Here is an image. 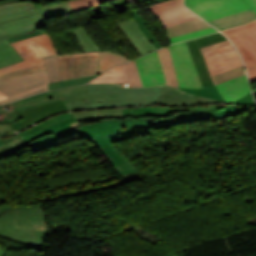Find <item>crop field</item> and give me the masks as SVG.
I'll return each instance as SVG.
<instances>
[{
    "label": "crop field",
    "mask_w": 256,
    "mask_h": 256,
    "mask_svg": "<svg viewBox=\"0 0 256 256\" xmlns=\"http://www.w3.org/2000/svg\"><path fill=\"white\" fill-rule=\"evenodd\" d=\"M121 119L101 120L99 123L83 125L75 128L64 129L60 132L41 137L26 146L35 150L57 145L56 140L65 137L74 132L78 136L88 139L94 144L91 147L98 146L112 165L121 175L136 172L135 165L120 155L112 142L118 141Z\"/></svg>",
    "instance_id": "crop-field-1"
},
{
    "label": "crop field",
    "mask_w": 256,
    "mask_h": 256,
    "mask_svg": "<svg viewBox=\"0 0 256 256\" xmlns=\"http://www.w3.org/2000/svg\"><path fill=\"white\" fill-rule=\"evenodd\" d=\"M31 1L0 6V39L46 26L44 20L72 13L69 4L57 3L36 9Z\"/></svg>",
    "instance_id": "crop-field-2"
},
{
    "label": "crop field",
    "mask_w": 256,
    "mask_h": 256,
    "mask_svg": "<svg viewBox=\"0 0 256 256\" xmlns=\"http://www.w3.org/2000/svg\"><path fill=\"white\" fill-rule=\"evenodd\" d=\"M249 108H243L234 105H205L186 108H174V111H181L172 118H127L122 119L119 141L132 138V130L134 127L139 128H164L179 125L181 123L196 122L204 119L210 121L223 119L235 115H239Z\"/></svg>",
    "instance_id": "crop-field-3"
},
{
    "label": "crop field",
    "mask_w": 256,
    "mask_h": 256,
    "mask_svg": "<svg viewBox=\"0 0 256 256\" xmlns=\"http://www.w3.org/2000/svg\"><path fill=\"white\" fill-rule=\"evenodd\" d=\"M160 87L125 88L113 84H89L88 93L115 92L119 93L121 102H98L90 103L89 100L68 103L69 110L95 108V107H118L142 104H157L160 95Z\"/></svg>",
    "instance_id": "crop-field-4"
},
{
    "label": "crop field",
    "mask_w": 256,
    "mask_h": 256,
    "mask_svg": "<svg viewBox=\"0 0 256 256\" xmlns=\"http://www.w3.org/2000/svg\"><path fill=\"white\" fill-rule=\"evenodd\" d=\"M88 84L70 87L66 89L55 90L51 92L41 93L37 96L29 97L10 104L16 111H21L30 107L48 103L62 98L64 103L89 99L90 102L98 101H120L119 95L114 93L104 94H86Z\"/></svg>",
    "instance_id": "crop-field-5"
},
{
    "label": "crop field",
    "mask_w": 256,
    "mask_h": 256,
    "mask_svg": "<svg viewBox=\"0 0 256 256\" xmlns=\"http://www.w3.org/2000/svg\"><path fill=\"white\" fill-rule=\"evenodd\" d=\"M11 45L25 61L0 69V74L41 62V57L58 54L47 33L11 43Z\"/></svg>",
    "instance_id": "crop-field-6"
},
{
    "label": "crop field",
    "mask_w": 256,
    "mask_h": 256,
    "mask_svg": "<svg viewBox=\"0 0 256 256\" xmlns=\"http://www.w3.org/2000/svg\"><path fill=\"white\" fill-rule=\"evenodd\" d=\"M185 4L207 21L250 8L256 11V0H185Z\"/></svg>",
    "instance_id": "crop-field-7"
},
{
    "label": "crop field",
    "mask_w": 256,
    "mask_h": 256,
    "mask_svg": "<svg viewBox=\"0 0 256 256\" xmlns=\"http://www.w3.org/2000/svg\"><path fill=\"white\" fill-rule=\"evenodd\" d=\"M61 80L99 74V54L84 53L58 56Z\"/></svg>",
    "instance_id": "crop-field-8"
},
{
    "label": "crop field",
    "mask_w": 256,
    "mask_h": 256,
    "mask_svg": "<svg viewBox=\"0 0 256 256\" xmlns=\"http://www.w3.org/2000/svg\"><path fill=\"white\" fill-rule=\"evenodd\" d=\"M18 210L17 225H35L36 241L35 249L43 250L48 236V225L46 215L43 211V204H32L29 206L17 205L15 207L5 206L0 208V214L10 213Z\"/></svg>",
    "instance_id": "crop-field-9"
},
{
    "label": "crop field",
    "mask_w": 256,
    "mask_h": 256,
    "mask_svg": "<svg viewBox=\"0 0 256 256\" xmlns=\"http://www.w3.org/2000/svg\"><path fill=\"white\" fill-rule=\"evenodd\" d=\"M170 53L178 87H202L186 43L167 46Z\"/></svg>",
    "instance_id": "crop-field-10"
},
{
    "label": "crop field",
    "mask_w": 256,
    "mask_h": 256,
    "mask_svg": "<svg viewBox=\"0 0 256 256\" xmlns=\"http://www.w3.org/2000/svg\"><path fill=\"white\" fill-rule=\"evenodd\" d=\"M49 79L46 71L37 72L0 84V91L11 98L0 101V105L10 101L48 90Z\"/></svg>",
    "instance_id": "crop-field-11"
},
{
    "label": "crop field",
    "mask_w": 256,
    "mask_h": 256,
    "mask_svg": "<svg viewBox=\"0 0 256 256\" xmlns=\"http://www.w3.org/2000/svg\"><path fill=\"white\" fill-rule=\"evenodd\" d=\"M222 32L236 45L247 67L256 66V21L244 27Z\"/></svg>",
    "instance_id": "crop-field-12"
},
{
    "label": "crop field",
    "mask_w": 256,
    "mask_h": 256,
    "mask_svg": "<svg viewBox=\"0 0 256 256\" xmlns=\"http://www.w3.org/2000/svg\"><path fill=\"white\" fill-rule=\"evenodd\" d=\"M70 114L73 118L64 120L62 122L56 123L46 128L39 129L22 136H19L17 134L10 138H0V159L7 155L17 153L22 147H24L25 144H27L32 140H35L38 137L70 127L71 123L77 122L72 112Z\"/></svg>",
    "instance_id": "crop-field-13"
},
{
    "label": "crop field",
    "mask_w": 256,
    "mask_h": 256,
    "mask_svg": "<svg viewBox=\"0 0 256 256\" xmlns=\"http://www.w3.org/2000/svg\"><path fill=\"white\" fill-rule=\"evenodd\" d=\"M184 7L182 0H169L148 6L149 10L159 18L164 27L198 18L195 14Z\"/></svg>",
    "instance_id": "crop-field-14"
},
{
    "label": "crop field",
    "mask_w": 256,
    "mask_h": 256,
    "mask_svg": "<svg viewBox=\"0 0 256 256\" xmlns=\"http://www.w3.org/2000/svg\"><path fill=\"white\" fill-rule=\"evenodd\" d=\"M223 40H226V38H224L220 33H216L186 42L203 87L212 86L214 84L200 48Z\"/></svg>",
    "instance_id": "crop-field-15"
},
{
    "label": "crop field",
    "mask_w": 256,
    "mask_h": 256,
    "mask_svg": "<svg viewBox=\"0 0 256 256\" xmlns=\"http://www.w3.org/2000/svg\"><path fill=\"white\" fill-rule=\"evenodd\" d=\"M211 75L242 65V61L233 45L204 52Z\"/></svg>",
    "instance_id": "crop-field-16"
},
{
    "label": "crop field",
    "mask_w": 256,
    "mask_h": 256,
    "mask_svg": "<svg viewBox=\"0 0 256 256\" xmlns=\"http://www.w3.org/2000/svg\"><path fill=\"white\" fill-rule=\"evenodd\" d=\"M16 212L0 216V235L34 247V226H16Z\"/></svg>",
    "instance_id": "crop-field-17"
},
{
    "label": "crop field",
    "mask_w": 256,
    "mask_h": 256,
    "mask_svg": "<svg viewBox=\"0 0 256 256\" xmlns=\"http://www.w3.org/2000/svg\"><path fill=\"white\" fill-rule=\"evenodd\" d=\"M144 86L166 85L161 63L157 52L136 60Z\"/></svg>",
    "instance_id": "crop-field-18"
},
{
    "label": "crop field",
    "mask_w": 256,
    "mask_h": 256,
    "mask_svg": "<svg viewBox=\"0 0 256 256\" xmlns=\"http://www.w3.org/2000/svg\"><path fill=\"white\" fill-rule=\"evenodd\" d=\"M64 110H68V108L65 106L62 99H60L48 104L18 112L22 119L10 125L13 130L18 131L50 114Z\"/></svg>",
    "instance_id": "crop-field-19"
},
{
    "label": "crop field",
    "mask_w": 256,
    "mask_h": 256,
    "mask_svg": "<svg viewBox=\"0 0 256 256\" xmlns=\"http://www.w3.org/2000/svg\"><path fill=\"white\" fill-rule=\"evenodd\" d=\"M138 25L140 24L135 19L117 24L133 48L142 56L156 50V47L148 40Z\"/></svg>",
    "instance_id": "crop-field-20"
},
{
    "label": "crop field",
    "mask_w": 256,
    "mask_h": 256,
    "mask_svg": "<svg viewBox=\"0 0 256 256\" xmlns=\"http://www.w3.org/2000/svg\"><path fill=\"white\" fill-rule=\"evenodd\" d=\"M210 102H217V101L202 98V97H194V96L185 94L183 92H180L174 88L163 86L158 104L189 105V104L210 103Z\"/></svg>",
    "instance_id": "crop-field-21"
},
{
    "label": "crop field",
    "mask_w": 256,
    "mask_h": 256,
    "mask_svg": "<svg viewBox=\"0 0 256 256\" xmlns=\"http://www.w3.org/2000/svg\"><path fill=\"white\" fill-rule=\"evenodd\" d=\"M226 102H233L250 92L246 75L216 85Z\"/></svg>",
    "instance_id": "crop-field-22"
},
{
    "label": "crop field",
    "mask_w": 256,
    "mask_h": 256,
    "mask_svg": "<svg viewBox=\"0 0 256 256\" xmlns=\"http://www.w3.org/2000/svg\"><path fill=\"white\" fill-rule=\"evenodd\" d=\"M39 34H43V32L35 30L23 35L0 40V68L23 61L20 55L13 49V47L9 43L29 38L32 36H36Z\"/></svg>",
    "instance_id": "crop-field-23"
},
{
    "label": "crop field",
    "mask_w": 256,
    "mask_h": 256,
    "mask_svg": "<svg viewBox=\"0 0 256 256\" xmlns=\"http://www.w3.org/2000/svg\"><path fill=\"white\" fill-rule=\"evenodd\" d=\"M253 20H256V12L251 9L248 11L226 16L209 22L218 29L223 30L251 22Z\"/></svg>",
    "instance_id": "crop-field-24"
},
{
    "label": "crop field",
    "mask_w": 256,
    "mask_h": 256,
    "mask_svg": "<svg viewBox=\"0 0 256 256\" xmlns=\"http://www.w3.org/2000/svg\"><path fill=\"white\" fill-rule=\"evenodd\" d=\"M78 122L100 119L123 118L122 109L73 112Z\"/></svg>",
    "instance_id": "crop-field-25"
},
{
    "label": "crop field",
    "mask_w": 256,
    "mask_h": 256,
    "mask_svg": "<svg viewBox=\"0 0 256 256\" xmlns=\"http://www.w3.org/2000/svg\"><path fill=\"white\" fill-rule=\"evenodd\" d=\"M207 27H210V26L207 23H205L203 20L198 18L180 25L168 27L166 28V30L169 38L172 36L192 32V31L207 28Z\"/></svg>",
    "instance_id": "crop-field-26"
},
{
    "label": "crop field",
    "mask_w": 256,
    "mask_h": 256,
    "mask_svg": "<svg viewBox=\"0 0 256 256\" xmlns=\"http://www.w3.org/2000/svg\"><path fill=\"white\" fill-rule=\"evenodd\" d=\"M105 73V72H104ZM98 82H109V83H124L127 86V79L125 73L124 64L118 66L114 69L108 70L105 74L99 76L89 83H98Z\"/></svg>",
    "instance_id": "crop-field-27"
},
{
    "label": "crop field",
    "mask_w": 256,
    "mask_h": 256,
    "mask_svg": "<svg viewBox=\"0 0 256 256\" xmlns=\"http://www.w3.org/2000/svg\"><path fill=\"white\" fill-rule=\"evenodd\" d=\"M158 53L160 55V59H161V63H162V67H163L167 85H172V86L177 87L171 59H170L169 53L167 51V48L165 47V48L158 50Z\"/></svg>",
    "instance_id": "crop-field-28"
},
{
    "label": "crop field",
    "mask_w": 256,
    "mask_h": 256,
    "mask_svg": "<svg viewBox=\"0 0 256 256\" xmlns=\"http://www.w3.org/2000/svg\"><path fill=\"white\" fill-rule=\"evenodd\" d=\"M100 53V73L110 67L117 66L128 60L122 58L115 52H99Z\"/></svg>",
    "instance_id": "crop-field-29"
},
{
    "label": "crop field",
    "mask_w": 256,
    "mask_h": 256,
    "mask_svg": "<svg viewBox=\"0 0 256 256\" xmlns=\"http://www.w3.org/2000/svg\"><path fill=\"white\" fill-rule=\"evenodd\" d=\"M73 34L82 47L83 51H100L98 47L94 44V42L91 40V38L86 33L84 27H79L72 29Z\"/></svg>",
    "instance_id": "crop-field-30"
},
{
    "label": "crop field",
    "mask_w": 256,
    "mask_h": 256,
    "mask_svg": "<svg viewBox=\"0 0 256 256\" xmlns=\"http://www.w3.org/2000/svg\"><path fill=\"white\" fill-rule=\"evenodd\" d=\"M44 69L45 68H44L42 62L35 64V65L28 66V67H24L21 69H17V70L0 75V83L23 76V75H27V74L34 73V72H37L40 70H44Z\"/></svg>",
    "instance_id": "crop-field-31"
},
{
    "label": "crop field",
    "mask_w": 256,
    "mask_h": 256,
    "mask_svg": "<svg viewBox=\"0 0 256 256\" xmlns=\"http://www.w3.org/2000/svg\"><path fill=\"white\" fill-rule=\"evenodd\" d=\"M42 60L45 65L50 82L53 83L61 81L58 71L57 56L42 58Z\"/></svg>",
    "instance_id": "crop-field-32"
},
{
    "label": "crop field",
    "mask_w": 256,
    "mask_h": 256,
    "mask_svg": "<svg viewBox=\"0 0 256 256\" xmlns=\"http://www.w3.org/2000/svg\"><path fill=\"white\" fill-rule=\"evenodd\" d=\"M178 89L193 95H199V96L208 97L214 100H220L225 102L214 86L208 87V88H198V89H188V88H178Z\"/></svg>",
    "instance_id": "crop-field-33"
},
{
    "label": "crop field",
    "mask_w": 256,
    "mask_h": 256,
    "mask_svg": "<svg viewBox=\"0 0 256 256\" xmlns=\"http://www.w3.org/2000/svg\"><path fill=\"white\" fill-rule=\"evenodd\" d=\"M244 74H245V71L242 65V66L230 69L228 71L213 75L212 77H213L214 84L216 85Z\"/></svg>",
    "instance_id": "crop-field-34"
},
{
    "label": "crop field",
    "mask_w": 256,
    "mask_h": 256,
    "mask_svg": "<svg viewBox=\"0 0 256 256\" xmlns=\"http://www.w3.org/2000/svg\"><path fill=\"white\" fill-rule=\"evenodd\" d=\"M125 67H126V73H127V79H128V86L130 87L143 86L140 80V76L137 70L135 60L130 63H126Z\"/></svg>",
    "instance_id": "crop-field-35"
},
{
    "label": "crop field",
    "mask_w": 256,
    "mask_h": 256,
    "mask_svg": "<svg viewBox=\"0 0 256 256\" xmlns=\"http://www.w3.org/2000/svg\"><path fill=\"white\" fill-rule=\"evenodd\" d=\"M112 0H74V1H70L68 2L71 6V8L73 9V11H79L82 9H86L92 6H96L102 3H106Z\"/></svg>",
    "instance_id": "crop-field-36"
},
{
    "label": "crop field",
    "mask_w": 256,
    "mask_h": 256,
    "mask_svg": "<svg viewBox=\"0 0 256 256\" xmlns=\"http://www.w3.org/2000/svg\"><path fill=\"white\" fill-rule=\"evenodd\" d=\"M212 32H216V30H214L212 27H210V28H207V29H204V30H200V31H196V32H192V33H188V34H184V35L169 38V41H170L171 44H173V43H176V42H180V41L200 37V36L212 33Z\"/></svg>",
    "instance_id": "crop-field-37"
},
{
    "label": "crop field",
    "mask_w": 256,
    "mask_h": 256,
    "mask_svg": "<svg viewBox=\"0 0 256 256\" xmlns=\"http://www.w3.org/2000/svg\"><path fill=\"white\" fill-rule=\"evenodd\" d=\"M132 110V111H131ZM153 107L145 108H124L123 116L126 117H144L152 116Z\"/></svg>",
    "instance_id": "crop-field-38"
},
{
    "label": "crop field",
    "mask_w": 256,
    "mask_h": 256,
    "mask_svg": "<svg viewBox=\"0 0 256 256\" xmlns=\"http://www.w3.org/2000/svg\"><path fill=\"white\" fill-rule=\"evenodd\" d=\"M130 13L141 24V26H140L141 29L144 31V33L147 35V37L150 39V41L155 44L157 49L161 48L162 46L160 45V43L156 40V38L151 34V32L145 26L148 24V22L138 13L137 10L131 11Z\"/></svg>",
    "instance_id": "crop-field-39"
},
{
    "label": "crop field",
    "mask_w": 256,
    "mask_h": 256,
    "mask_svg": "<svg viewBox=\"0 0 256 256\" xmlns=\"http://www.w3.org/2000/svg\"><path fill=\"white\" fill-rule=\"evenodd\" d=\"M70 117H71V116H70L69 113L57 115V116H54V117H52V118H50V119H48V120H46V121H44V122H42V123H40V124L34 126V127H31V128H29V129H27V130H25V131H23V132H20V133H18V134H19V135H22V134H25V133L34 131V130H36V129L43 128V127H45V126L51 125V124H53V123L62 121V120H64V119L70 118Z\"/></svg>",
    "instance_id": "crop-field-40"
},
{
    "label": "crop field",
    "mask_w": 256,
    "mask_h": 256,
    "mask_svg": "<svg viewBox=\"0 0 256 256\" xmlns=\"http://www.w3.org/2000/svg\"><path fill=\"white\" fill-rule=\"evenodd\" d=\"M94 77H96V76L73 79V80L59 82V83L48 84V87H49V90H52V89H58V88L73 86V85H77V84H80V83L87 82V81L91 80Z\"/></svg>",
    "instance_id": "crop-field-41"
},
{
    "label": "crop field",
    "mask_w": 256,
    "mask_h": 256,
    "mask_svg": "<svg viewBox=\"0 0 256 256\" xmlns=\"http://www.w3.org/2000/svg\"><path fill=\"white\" fill-rule=\"evenodd\" d=\"M10 109H12V108L10 107ZM0 116H1L0 117L1 124L11 123V122H14V121L20 119L18 114L13 109H12V111H8V112H5L4 110H0Z\"/></svg>",
    "instance_id": "crop-field-42"
},
{
    "label": "crop field",
    "mask_w": 256,
    "mask_h": 256,
    "mask_svg": "<svg viewBox=\"0 0 256 256\" xmlns=\"http://www.w3.org/2000/svg\"><path fill=\"white\" fill-rule=\"evenodd\" d=\"M234 103L241 104V105H247V106H256L251 93H249L246 96L242 97L241 99L235 101Z\"/></svg>",
    "instance_id": "crop-field-43"
},
{
    "label": "crop field",
    "mask_w": 256,
    "mask_h": 256,
    "mask_svg": "<svg viewBox=\"0 0 256 256\" xmlns=\"http://www.w3.org/2000/svg\"><path fill=\"white\" fill-rule=\"evenodd\" d=\"M171 111H173V109H171V108L154 107L153 116L154 117H163L164 115L168 114Z\"/></svg>",
    "instance_id": "crop-field-44"
},
{
    "label": "crop field",
    "mask_w": 256,
    "mask_h": 256,
    "mask_svg": "<svg viewBox=\"0 0 256 256\" xmlns=\"http://www.w3.org/2000/svg\"><path fill=\"white\" fill-rule=\"evenodd\" d=\"M226 45H230L228 40L205 47V48H202V51L204 52V51L212 50V49L219 48V47L226 46Z\"/></svg>",
    "instance_id": "crop-field-45"
},
{
    "label": "crop field",
    "mask_w": 256,
    "mask_h": 256,
    "mask_svg": "<svg viewBox=\"0 0 256 256\" xmlns=\"http://www.w3.org/2000/svg\"><path fill=\"white\" fill-rule=\"evenodd\" d=\"M248 72H249V77H250L251 83L256 82V67L249 69Z\"/></svg>",
    "instance_id": "crop-field-46"
},
{
    "label": "crop field",
    "mask_w": 256,
    "mask_h": 256,
    "mask_svg": "<svg viewBox=\"0 0 256 256\" xmlns=\"http://www.w3.org/2000/svg\"><path fill=\"white\" fill-rule=\"evenodd\" d=\"M13 131L9 124L0 125V132Z\"/></svg>",
    "instance_id": "crop-field-47"
},
{
    "label": "crop field",
    "mask_w": 256,
    "mask_h": 256,
    "mask_svg": "<svg viewBox=\"0 0 256 256\" xmlns=\"http://www.w3.org/2000/svg\"><path fill=\"white\" fill-rule=\"evenodd\" d=\"M9 98L8 96H6L5 94H3L2 92H0V100H4Z\"/></svg>",
    "instance_id": "crop-field-48"
},
{
    "label": "crop field",
    "mask_w": 256,
    "mask_h": 256,
    "mask_svg": "<svg viewBox=\"0 0 256 256\" xmlns=\"http://www.w3.org/2000/svg\"><path fill=\"white\" fill-rule=\"evenodd\" d=\"M11 1H17V0H0V4H2V3H7V2H11Z\"/></svg>",
    "instance_id": "crop-field-49"
},
{
    "label": "crop field",
    "mask_w": 256,
    "mask_h": 256,
    "mask_svg": "<svg viewBox=\"0 0 256 256\" xmlns=\"http://www.w3.org/2000/svg\"><path fill=\"white\" fill-rule=\"evenodd\" d=\"M0 256H5V253L0 249Z\"/></svg>",
    "instance_id": "crop-field-50"
},
{
    "label": "crop field",
    "mask_w": 256,
    "mask_h": 256,
    "mask_svg": "<svg viewBox=\"0 0 256 256\" xmlns=\"http://www.w3.org/2000/svg\"><path fill=\"white\" fill-rule=\"evenodd\" d=\"M152 1H159V2H161L162 0H152Z\"/></svg>",
    "instance_id": "crop-field-51"
},
{
    "label": "crop field",
    "mask_w": 256,
    "mask_h": 256,
    "mask_svg": "<svg viewBox=\"0 0 256 256\" xmlns=\"http://www.w3.org/2000/svg\"><path fill=\"white\" fill-rule=\"evenodd\" d=\"M253 93L256 94V90H254Z\"/></svg>",
    "instance_id": "crop-field-52"
}]
</instances>
